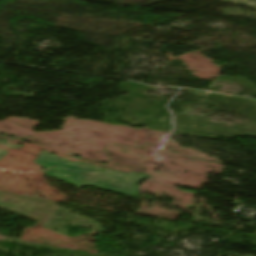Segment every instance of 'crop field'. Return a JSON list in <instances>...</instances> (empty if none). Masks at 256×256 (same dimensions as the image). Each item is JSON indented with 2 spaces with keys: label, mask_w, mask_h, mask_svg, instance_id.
Listing matches in <instances>:
<instances>
[{
  "label": "crop field",
  "mask_w": 256,
  "mask_h": 256,
  "mask_svg": "<svg viewBox=\"0 0 256 256\" xmlns=\"http://www.w3.org/2000/svg\"><path fill=\"white\" fill-rule=\"evenodd\" d=\"M44 167V175L76 186H91L98 189L138 197V183L147 175L134 172L114 171L82 162L64 160L46 151L34 161Z\"/></svg>",
  "instance_id": "8a807250"
},
{
  "label": "crop field",
  "mask_w": 256,
  "mask_h": 256,
  "mask_svg": "<svg viewBox=\"0 0 256 256\" xmlns=\"http://www.w3.org/2000/svg\"><path fill=\"white\" fill-rule=\"evenodd\" d=\"M0 145L4 146V147L12 148V149H17L19 147V146L13 145V144H9L5 140H0ZM5 154H7L6 150L0 149V159Z\"/></svg>",
  "instance_id": "ac0d7876"
},
{
  "label": "crop field",
  "mask_w": 256,
  "mask_h": 256,
  "mask_svg": "<svg viewBox=\"0 0 256 256\" xmlns=\"http://www.w3.org/2000/svg\"><path fill=\"white\" fill-rule=\"evenodd\" d=\"M0 138H4V139H11V138H9V137H3V136H0Z\"/></svg>",
  "instance_id": "34b2d1b8"
}]
</instances>
